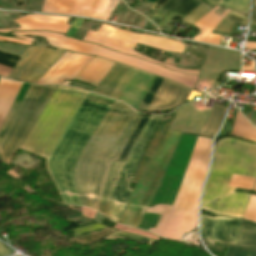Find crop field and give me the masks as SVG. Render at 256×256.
Returning a JSON list of instances; mask_svg holds the SVG:
<instances>
[{
	"label": "crop field",
	"mask_w": 256,
	"mask_h": 256,
	"mask_svg": "<svg viewBox=\"0 0 256 256\" xmlns=\"http://www.w3.org/2000/svg\"><path fill=\"white\" fill-rule=\"evenodd\" d=\"M198 4L195 0H168L150 21L165 26L174 14L185 18Z\"/></svg>",
	"instance_id": "obj_8"
},
{
	"label": "crop field",
	"mask_w": 256,
	"mask_h": 256,
	"mask_svg": "<svg viewBox=\"0 0 256 256\" xmlns=\"http://www.w3.org/2000/svg\"><path fill=\"white\" fill-rule=\"evenodd\" d=\"M208 1H210V2H212L214 4H216V5H220L222 0H208Z\"/></svg>",
	"instance_id": "obj_40"
},
{
	"label": "crop field",
	"mask_w": 256,
	"mask_h": 256,
	"mask_svg": "<svg viewBox=\"0 0 256 256\" xmlns=\"http://www.w3.org/2000/svg\"><path fill=\"white\" fill-rule=\"evenodd\" d=\"M167 0H158L153 6L152 9H159Z\"/></svg>",
	"instance_id": "obj_37"
},
{
	"label": "crop field",
	"mask_w": 256,
	"mask_h": 256,
	"mask_svg": "<svg viewBox=\"0 0 256 256\" xmlns=\"http://www.w3.org/2000/svg\"><path fill=\"white\" fill-rule=\"evenodd\" d=\"M233 25V22L223 19L221 23L215 28V30L230 33Z\"/></svg>",
	"instance_id": "obj_32"
},
{
	"label": "crop field",
	"mask_w": 256,
	"mask_h": 256,
	"mask_svg": "<svg viewBox=\"0 0 256 256\" xmlns=\"http://www.w3.org/2000/svg\"><path fill=\"white\" fill-rule=\"evenodd\" d=\"M211 9L205 7L204 5H199L193 12H191L183 22L193 25L199 19H201L206 13H208Z\"/></svg>",
	"instance_id": "obj_27"
},
{
	"label": "crop field",
	"mask_w": 256,
	"mask_h": 256,
	"mask_svg": "<svg viewBox=\"0 0 256 256\" xmlns=\"http://www.w3.org/2000/svg\"><path fill=\"white\" fill-rule=\"evenodd\" d=\"M253 190L256 191V184ZM242 218L245 220L256 222V196H250L247 208Z\"/></svg>",
	"instance_id": "obj_28"
},
{
	"label": "crop field",
	"mask_w": 256,
	"mask_h": 256,
	"mask_svg": "<svg viewBox=\"0 0 256 256\" xmlns=\"http://www.w3.org/2000/svg\"><path fill=\"white\" fill-rule=\"evenodd\" d=\"M59 88L30 85L0 141V156L6 163L10 162ZM89 94L61 86L20 148L47 158L66 124ZM113 102V99L91 93L69 121L46 160V169L63 203L97 209L109 159H117L141 119L125 104ZM74 167L81 204L75 189Z\"/></svg>",
	"instance_id": "obj_1"
},
{
	"label": "crop field",
	"mask_w": 256,
	"mask_h": 256,
	"mask_svg": "<svg viewBox=\"0 0 256 256\" xmlns=\"http://www.w3.org/2000/svg\"><path fill=\"white\" fill-rule=\"evenodd\" d=\"M22 83L0 78V127Z\"/></svg>",
	"instance_id": "obj_10"
},
{
	"label": "crop field",
	"mask_w": 256,
	"mask_h": 256,
	"mask_svg": "<svg viewBox=\"0 0 256 256\" xmlns=\"http://www.w3.org/2000/svg\"><path fill=\"white\" fill-rule=\"evenodd\" d=\"M219 7L216 6L208 14H206L201 20H199L194 26L201 30V34L193 38V40L206 42L213 29L220 23V21L230 12L227 10L220 17H218L213 11L217 10Z\"/></svg>",
	"instance_id": "obj_12"
},
{
	"label": "crop field",
	"mask_w": 256,
	"mask_h": 256,
	"mask_svg": "<svg viewBox=\"0 0 256 256\" xmlns=\"http://www.w3.org/2000/svg\"><path fill=\"white\" fill-rule=\"evenodd\" d=\"M47 69L41 67L36 63H32L25 74L20 78L22 80L30 81L36 83L38 78L46 71Z\"/></svg>",
	"instance_id": "obj_23"
},
{
	"label": "crop field",
	"mask_w": 256,
	"mask_h": 256,
	"mask_svg": "<svg viewBox=\"0 0 256 256\" xmlns=\"http://www.w3.org/2000/svg\"><path fill=\"white\" fill-rule=\"evenodd\" d=\"M65 51L57 49V51L51 48H45L43 52L34 61L46 68H50L52 64L64 53Z\"/></svg>",
	"instance_id": "obj_19"
},
{
	"label": "crop field",
	"mask_w": 256,
	"mask_h": 256,
	"mask_svg": "<svg viewBox=\"0 0 256 256\" xmlns=\"http://www.w3.org/2000/svg\"><path fill=\"white\" fill-rule=\"evenodd\" d=\"M180 108H178L177 110H175L171 115H169L166 120L162 123V126L160 128V130L158 131L157 135L155 136L154 140L152 141L149 149L146 152V155L133 179V182H138L145 167L147 166L148 162L150 161L153 152L155 150V148L157 147V145L159 144L160 140L162 139L163 135L165 134V132L167 131L168 127L170 126L171 122L173 121L174 117L176 116L177 112L179 111Z\"/></svg>",
	"instance_id": "obj_14"
},
{
	"label": "crop field",
	"mask_w": 256,
	"mask_h": 256,
	"mask_svg": "<svg viewBox=\"0 0 256 256\" xmlns=\"http://www.w3.org/2000/svg\"><path fill=\"white\" fill-rule=\"evenodd\" d=\"M103 228H106V227L101 225V224H99V223H96V224H92V225H89V226H85V227H81V228H78V229H74L73 231H74L75 236H76V235L88 233V232H91V231H94V230L103 229Z\"/></svg>",
	"instance_id": "obj_30"
},
{
	"label": "crop field",
	"mask_w": 256,
	"mask_h": 256,
	"mask_svg": "<svg viewBox=\"0 0 256 256\" xmlns=\"http://www.w3.org/2000/svg\"><path fill=\"white\" fill-rule=\"evenodd\" d=\"M110 0H45V13L86 16L101 19Z\"/></svg>",
	"instance_id": "obj_5"
},
{
	"label": "crop field",
	"mask_w": 256,
	"mask_h": 256,
	"mask_svg": "<svg viewBox=\"0 0 256 256\" xmlns=\"http://www.w3.org/2000/svg\"><path fill=\"white\" fill-rule=\"evenodd\" d=\"M115 238L142 242V243H145V244H148V245H150L153 242V240H151V239L144 238V237L134 235V234H130V233H126V232H122V231L116 232V233L106 237L105 239L114 240Z\"/></svg>",
	"instance_id": "obj_25"
},
{
	"label": "crop field",
	"mask_w": 256,
	"mask_h": 256,
	"mask_svg": "<svg viewBox=\"0 0 256 256\" xmlns=\"http://www.w3.org/2000/svg\"><path fill=\"white\" fill-rule=\"evenodd\" d=\"M149 117H142V119L140 120V122L138 123L137 127L135 128V130L133 131V133L131 134V136L128 138L118 160L124 161L133 142L135 141V139L137 138L138 134L140 133L142 127L144 126V124L146 123V121L148 120Z\"/></svg>",
	"instance_id": "obj_21"
},
{
	"label": "crop field",
	"mask_w": 256,
	"mask_h": 256,
	"mask_svg": "<svg viewBox=\"0 0 256 256\" xmlns=\"http://www.w3.org/2000/svg\"><path fill=\"white\" fill-rule=\"evenodd\" d=\"M225 109V107L214 105L210 117L200 133L201 136L213 138L223 119Z\"/></svg>",
	"instance_id": "obj_16"
},
{
	"label": "crop field",
	"mask_w": 256,
	"mask_h": 256,
	"mask_svg": "<svg viewBox=\"0 0 256 256\" xmlns=\"http://www.w3.org/2000/svg\"><path fill=\"white\" fill-rule=\"evenodd\" d=\"M256 24V8L253 7L251 25Z\"/></svg>",
	"instance_id": "obj_38"
},
{
	"label": "crop field",
	"mask_w": 256,
	"mask_h": 256,
	"mask_svg": "<svg viewBox=\"0 0 256 256\" xmlns=\"http://www.w3.org/2000/svg\"><path fill=\"white\" fill-rule=\"evenodd\" d=\"M238 245L256 246V224L242 220Z\"/></svg>",
	"instance_id": "obj_18"
},
{
	"label": "crop field",
	"mask_w": 256,
	"mask_h": 256,
	"mask_svg": "<svg viewBox=\"0 0 256 256\" xmlns=\"http://www.w3.org/2000/svg\"><path fill=\"white\" fill-rule=\"evenodd\" d=\"M44 48L30 47L29 50L17 63L16 67L9 75V77L19 79L25 69L31 64V62L39 55ZM8 77V76H7Z\"/></svg>",
	"instance_id": "obj_17"
},
{
	"label": "crop field",
	"mask_w": 256,
	"mask_h": 256,
	"mask_svg": "<svg viewBox=\"0 0 256 256\" xmlns=\"http://www.w3.org/2000/svg\"><path fill=\"white\" fill-rule=\"evenodd\" d=\"M82 20L81 19H75L72 27L70 28V30L67 32V36L73 37V35L76 33V31L78 30L80 24H81Z\"/></svg>",
	"instance_id": "obj_35"
},
{
	"label": "crop field",
	"mask_w": 256,
	"mask_h": 256,
	"mask_svg": "<svg viewBox=\"0 0 256 256\" xmlns=\"http://www.w3.org/2000/svg\"><path fill=\"white\" fill-rule=\"evenodd\" d=\"M231 135L256 142L255 128L246 120V118L239 111H237Z\"/></svg>",
	"instance_id": "obj_15"
},
{
	"label": "crop field",
	"mask_w": 256,
	"mask_h": 256,
	"mask_svg": "<svg viewBox=\"0 0 256 256\" xmlns=\"http://www.w3.org/2000/svg\"><path fill=\"white\" fill-rule=\"evenodd\" d=\"M116 230H113V229H110V228H107V229H104V230H101L99 232H96V233H92V234H89V235H86V236H81V237H77V238H73V239H70V240H73L75 242H78L82 245H85V244H88V243H91L99 238H102L112 232H114Z\"/></svg>",
	"instance_id": "obj_24"
},
{
	"label": "crop field",
	"mask_w": 256,
	"mask_h": 256,
	"mask_svg": "<svg viewBox=\"0 0 256 256\" xmlns=\"http://www.w3.org/2000/svg\"><path fill=\"white\" fill-rule=\"evenodd\" d=\"M123 163L122 162H117V161H112L110 160L109 162V167L105 179V184L101 196V200L98 206V211L102 212L105 214L106 206L110 197V193L112 190L113 185L116 184L117 176L118 173L122 167ZM113 178H115V182H113Z\"/></svg>",
	"instance_id": "obj_13"
},
{
	"label": "crop field",
	"mask_w": 256,
	"mask_h": 256,
	"mask_svg": "<svg viewBox=\"0 0 256 256\" xmlns=\"http://www.w3.org/2000/svg\"><path fill=\"white\" fill-rule=\"evenodd\" d=\"M225 256H256V247L229 245Z\"/></svg>",
	"instance_id": "obj_22"
},
{
	"label": "crop field",
	"mask_w": 256,
	"mask_h": 256,
	"mask_svg": "<svg viewBox=\"0 0 256 256\" xmlns=\"http://www.w3.org/2000/svg\"><path fill=\"white\" fill-rule=\"evenodd\" d=\"M7 255H10L9 250L6 249L5 246L0 243V256H7Z\"/></svg>",
	"instance_id": "obj_36"
},
{
	"label": "crop field",
	"mask_w": 256,
	"mask_h": 256,
	"mask_svg": "<svg viewBox=\"0 0 256 256\" xmlns=\"http://www.w3.org/2000/svg\"><path fill=\"white\" fill-rule=\"evenodd\" d=\"M241 220L201 215V233L209 245L237 244Z\"/></svg>",
	"instance_id": "obj_6"
},
{
	"label": "crop field",
	"mask_w": 256,
	"mask_h": 256,
	"mask_svg": "<svg viewBox=\"0 0 256 256\" xmlns=\"http://www.w3.org/2000/svg\"><path fill=\"white\" fill-rule=\"evenodd\" d=\"M226 18H228L232 21L238 22V23L245 24V25H246V21H247L246 16L240 15V14L232 12V11L226 16Z\"/></svg>",
	"instance_id": "obj_33"
},
{
	"label": "crop field",
	"mask_w": 256,
	"mask_h": 256,
	"mask_svg": "<svg viewBox=\"0 0 256 256\" xmlns=\"http://www.w3.org/2000/svg\"><path fill=\"white\" fill-rule=\"evenodd\" d=\"M113 65L114 62L94 57L75 79L97 86Z\"/></svg>",
	"instance_id": "obj_9"
},
{
	"label": "crop field",
	"mask_w": 256,
	"mask_h": 256,
	"mask_svg": "<svg viewBox=\"0 0 256 256\" xmlns=\"http://www.w3.org/2000/svg\"><path fill=\"white\" fill-rule=\"evenodd\" d=\"M232 174L256 177V145L231 138L216 142L213 164L202 196L201 209L241 218L249 194L227 187ZM216 199H220L216 202Z\"/></svg>",
	"instance_id": "obj_2"
},
{
	"label": "crop field",
	"mask_w": 256,
	"mask_h": 256,
	"mask_svg": "<svg viewBox=\"0 0 256 256\" xmlns=\"http://www.w3.org/2000/svg\"><path fill=\"white\" fill-rule=\"evenodd\" d=\"M0 32L7 33V32H10V30L4 29V30H0ZM15 37H18V36H15ZM18 38H22L25 40H19V39L0 36V40H3V41H12V42H17V43L26 44V45H31L33 42V39H30V38H25V37H18Z\"/></svg>",
	"instance_id": "obj_31"
},
{
	"label": "crop field",
	"mask_w": 256,
	"mask_h": 256,
	"mask_svg": "<svg viewBox=\"0 0 256 256\" xmlns=\"http://www.w3.org/2000/svg\"><path fill=\"white\" fill-rule=\"evenodd\" d=\"M102 217H103V215H101L100 213L97 212L94 220L100 223Z\"/></svg>",
	"instance_id": "obj_39"
},
{
	"label": "crop field",
	"mask_w": 256,
	"mask_h": 256,
	"mask_svg": "<svg viewBox=\"0 0 256 256\" xmlns=\"http://www.w3.org/2000/svg\"><path fill=\"white\" fill-rule=\"evenodd\" d=\"M156 2V0H147L146 3H149L151 5H153Z\"/></svg>",
	"instance_id": "obj_41"
},
{
	"label": "crop field",
	"mask_w": 256,
	"mask_h": 256,
	"mask_svg": "<svg viewBox=\"0 0 256 256\" xmlns=\"http://www.w3.org/2000/svg\"><path fill=\"white\" fill-rule=\"evenodd\" d=\"M160 118L161 116H151L147 121L125 161V164L118 176L116 186L113 187L105 216L116 222L132 193V190L128 189L131 178L126 179V174H132L141 151Z\"/></svg>",
	"instance_id": "obj_3"
},
{
	"label": "crop field",
	"mask_w": 256,
	"mask_h": 256,
	"mask_svg": "<svg viewBox=\"0 0 256 256\" xmlns=\"http://www.w3.org/2000/svg\"><path fill=\"white\" fill-rule=\"evenodd\" d=\"M120 0H111L107 10L105 11L102 20H108L111 12L113 11V9L116 7V5L119 3Z\"/></svg>",
	"instance_id": "obj_34"
},
{
	"label": "crop field",
	"mask_w": 256,
	"mask_h": 256,
	"mask_svg": "<svg viewBox=\"0 0 256 256\" xmlns=\"http://www.w3.org/2000/svg\"><path fill=\"white\" fill-rule=\"evenodd\" d=\"M129 67L116 63L93 92L109 97Z\"/></svg>",
	"instance_id": "obj_11"
},
{
	"label": "crop field",
	"mask_w": 256,
	"mask_h": 256,
	"mask_svg": "<svg viewBox=\"0 0 256 256\" xmlns=\"http://www.w3.org/2000/svg\"><path fill=\"white\" fill-rule=\"evenodd\" d=\"M90 54L105 57L113 61L119 62L121 64L143 69L145 71L159 75L163 78L184 84L190 88H193L198 77V76L182 75L180 73L172 72L161 66L153 65L141 59H137L128 55H122L97 45H95V47L90 52Z\"/></svg>",
	"instance_id": "obj_4"
},
{
	"label": "crop field",
	"mask_w": 256,
	"mask_h": 256,
	"mask_svg": "<svg viewBox=\"0 0 256 256\" xmlns=\"http://www.w3.org/2000/svg\"><path fill=\"white\" fill-rule=\"evenodd\" d=\"M60 47L80 53L89 54L91 49L94 47V44L80 42L65 37Z\"/></svg>",
	"instance_id": "obj_20"
},
{
	"label": "crop field",
	"mask_w": 256,
	"mask_h": 256,
	"mask_svg": "<svg viewBox=\"0 0 256 256\" xmlns=\"http://www.w3.org/2000/svg\"><path fill=\"white\" fill-rule=\"evenodd\" d=\"M162 81H163L162 78L156 77L154 83L152 84L151 88L149 89L148 93L146 94L145 98L143 99V101L138 109V112H140V110L142 108H145V109L148 108L153 96L155 95V93H156L157 89L159 88Z\"/></svg>",
	"instance_id": "obj_29"
},
{
	"label": "crop field",
	"mask_w": 256,
	"mask_h": 256,
	"mask_svg": "<svg viewBox=\"0 0 256 256\" xmlns=\"http://www.w3.org/2000/svg\"><path fill=\"white\" fill-rule=\"evenodd\" d=\"M191 90L164 79L147 111L166 110L184 103Z\"/></svg>",
	"instance_id": "obj_7"
},
{
	"label": "crop field",
	"mask_w": 256,
	"mask_h": 256,
	"mask_svg": "<svg viewBox=\"0 0 256 256\" xmlns=\"http://www.w3.org/2000/svg\"><path fill=\"white\" fill-rule=\"evenodd\" d=\"M221 6L248 14L249 0H224Z\"/></svg>",
	"instance_id": "obj_26"
}]
</instances>
